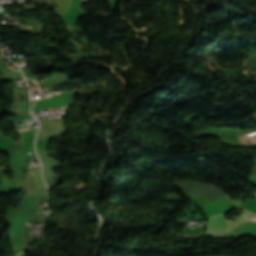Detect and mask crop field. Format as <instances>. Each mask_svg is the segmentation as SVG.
Listing matches in <instances>:
<instances>
[{"instance_id": "dd49c442", "label": "crop field", "mask_w": 256, "mask_h": 256, "mask_svg": "<svg viewBox=\"0 0 256 256\" xmlns=\"http://www.w3.org/2000/svg\"><path fill=\"white\" fill-rule=\"evenodd\" d=\"M35 103V102H34ZM34 103H33V105H34Z\"/></svg>"}, {"instance_id": "412701ff", "label": "crop field", "mask_w": 256, "mask_h": 256, "mask_svg": "<svg viewBox=\"0 0 256 256\" xmlns=\"http://www.w3.org/2000/svg\"><path fill=\"white\" fill-rule=\"evenodd\" d=\"M30 128H27V129H21V130H19V131H23V130H29Z\"/></svg>"}, {"instance_id": "34b2d1b8", "label": "crop field", "mask_w": 256, "mask_h": 256, "mask_svg": "<svg viewBox=\"0 0 256 256\" xmlns=\"http://www.w3.org/2000/svg\"><path fill=\"white\" fill-rule=\"evenodd\" d=\"M5 183L4 179L2 177H0V185Z\"/></svg>"}, {"instance_id": "8a807250", "label": "crop field", "mask_w": 256, "mask_h": 256, "mask_svg": "<svg viewBox=\"0 0 256 256\" xmlns=\"http://www.w3.org/2000/svg\"><path fill=\"white\" fill-rule=\"evenodd\" d=\"M240 219L245 220H256V215H253L247 211H243V213L239 216ZM236 219L235 221L225 220V214L221 216H214L209 219L207 232L208 234H221L227 233L236 226L246 222L245 220Z\"/></svg>"}, {"instance_id": "ac0d7876", "label": "crop field", "mask_w": 256, "mask_h": 256, "mask_svg": "<svg viewBox=\"0 0 256 256\" xmlns=\"http://www.w3.org/2000/svg\"><path fill=\"white\" fill-rule=\"evenodd\" d=\"M38 197L36 195H25V197L23 198V202H31V203H37L38 201Z\"/></svg>"}, {"instance_id": "f4fd0767", "label": "crop field", "mask_w": 256, "mask_h": 256, "mask_svg": "<svg viewBox=\"0 0 256 256\" xmlns=\"http://www.w3.org/2000/svg\"><path fill=\"white\" fill-rule=\"evenodd\" d=\"M27 224H28V222H27ZM26 227H27V225H26Z\"/></svg>"}]
</instances>
